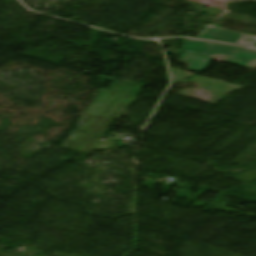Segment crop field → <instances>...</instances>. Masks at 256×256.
Returning <instances> with one entry per match:
<instances>
[{
	"mask_svg": "<svg viewBox=\"0 0 256 256\" xmlns=\"http://www.w3.org/2000/svg\"><path fill=\"white\" fill-rule=\"evenodd\" d=\"M121 94L113 93L105 90L98 101L86 113L89 115L87 119L80 125L75 134L68 137L70 144L67 149L78 151L87 138L92 134L108 112L113 108L117 101L121 98ZM88 132L89 134L81 133L80 131Z\"/></svg>",
	"mask_w": 256,
	"mask_h": 256,
	"instance_id": "obj_2",
	"label": "crop field"
},
{
	"mask_svg": "<svg viewBox=\"0 0 256 256\" xmlns=\"http://www.w3.org/2000/svg\"><path fill=\"white\" fill-rule=\"evenodd\" d=\"M253 68H256V62L251 63L250 65L246 66L244 69L251 70Z\"/></svg>",
	"mask_w": 256,
	"mask_h": 256,
	"instance_id": "obj_7",
	"label": "crop field"
},
{
	"mask_svg": "<svg viewBox=\"0 0 256 256\" xmlns=\"http://www.w3.org/2000/svg\"><path fill=\"white\" fill-rule=\"evenodd\" d=\"M198 38L228 43H237L242 38V36L234 31L215 26H209Z\"/></svg>",
	"mask_w": 256,
	"mask_h": 256,
	"instance_id": "obj_4",
	"label": "crop field"
},
{
	"mask_svg": "<svg viewBox=\"0 0 256 256\" xmlns=\"http://www.w3.org/2000/svg\"><path fill=\"white\" fill-rule=\"evenodd\" d=\"M131 98H132L131 96H127V95L123 96V98L115 106L112 112L108 115V117L104 120V122L100 125V127L96 130V132L92 135V137L85 144V146L81 149L80 153L90 155L94 149L109 150L115 147L114 142L101 141L103 138V135L101 134L109 126V124L118 117V115L125 108V106L131 100Z\"/></svg>",
	"mask_w": 256,
	"mask_h": 256,
	"instance_id": "obj_3",
	"label": "crop field"
},
{
	"mask_svg": "<svg viewBox=\"0 0 256 256\" xmlns=\"http://www.w3.org/2000/svg\"><path fill=\"white\" fill-rule=\"evenodd\" d=\"M183 51L208 58L214 54L226 55L231 57L228 64L241 68L256 60V51L198 40L185 39Z\"/></svg>",
	"mask_w": 256,
	"mask_h": 256,
	"instance_id": "obj_1",
	"label": "crop field"
},
{
	"mask_svg": "<svg viewBox=\"0 0 256 256\" xmlns=\"http://www.w3.org/2000/svg\"><path fill=\"white\" fill-rule=\"evenodd\" d=\"M238 44H243V45H248V46L251 44H256V37L249 36V35H243V38L238 42Z\"/></svg>",
	"mask_w": 256,
	"mask_h": 256,
	"instance_id": "obj_6",
	"label": "crop field"
},
{
	"mask_svg": "<svg viewBox=\"0 0 256 256\" xmlns=\"http://www.w3.org/2000/svg\"><path fill=\"white\" fill-rule=\"evenodd\" d=\"M251 46H253V47H255V48H256V45H251Z\"/></svg>",
	"mask_w": 256,
	"mask_h": 256,
	"instance_id": "obj_8",
	"label": "crop field"
},
{
	"mask_svg": "<svg viewBox=\"0 0 256 256\" xmlns=\"http://www.w3.org/2000/svg\"><path fill=\"white\" fill-rule=\"evenodd\" d=\"M211 59L191 55L188 53L182 52L179 62L185 63L188 66V70L195 71V72H203L205 67L208 65Z\"/></svg>",
	"mask_w": 256,
	"mask_h": 256,
	"instance_id": "obj_5",
	"label": "crop field"
}]
</instances>
